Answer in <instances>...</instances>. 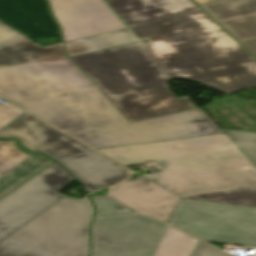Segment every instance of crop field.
Listing matches in <instances>:
<instances>
[{
	"instance_id": "1",
	"label": "crop field",
	"mask_w": 256,
	"mask_h": 256,
	"mask_svg": "<svg viewBox=\"0 0 256 256\" xmlns=\"http://www.w3.org/2000/svg\"><path fill=\"white\" fill-rule=\"evenodd\" d=\"M131 29L148 42L70 59L130 123L196 108L170 78L227 94L256 87V60L200 9Z\"/></svg>"
},
{
	"instance_id": "2",
	"label": "crop field",
	"mask_w": 256,
	"mask_h": 256,
	"mask_svg": "<svg viewBox=\"0 0 256 256\" xmlns=\"http://www.w3.org/2000/svg\"><path fill=\"white\" fill-rule=\"evenodd\" d=\"M0 95L64 131L129 123L68 58L0 68Z\"/></svg>"
},
{
	"instance_id": "3",
	"label": "crop field",
	"mask_w": 256,
	"mask_h": 256,
	"mask_svg": "<svg viewBox=\"0 0 256 256\" xmlns=\"http://www.w3.org/2000/svg\"><path fill=\"white\" fill-rule=\"evenodd\" d=\"M99 151L126 167L158 161L159 173L143 175L149 180L253 165L225 134Z\"/></svg>"
},
{
	"instance_id": "4",
	"label": "crop field",
	"mask_w": 256,
	"mask_h": 256,
	"mask_svg": "<svg viewBox=\"0 0 256 256\" xmlns=\"http://www.w3.org/2000/svg\"><path fill=\"white\" fill-rule=\"evenodd\" d=\"M90 199L64 196L0 243V256H88Z\"/></svg>"
},
{
	"instance_id": "5",
	"label": "crop field",
	"mask_w": 256,
	"mask_h": 256,
	"mask_svg": "<svg viewBox=\"0 0 256 256\" xmlns=\"http://www.w3.org/2000/svg\"><path fill=\"white\" fill-rule=\"evenodd\" d=\"M65 135L28 113L0 132V138H16L27 149L57 160L87 192L127 178L124 167Z\"/></svg>"
},
{
	"instance_id": "6",
	"label": "crop field",
	"mask_w": 256,
	"mask_h": 256,
	"mask_svg": "<svg viewBox=\"0 0 256 256\" xmlns=\"http://www.w3.org/2000/svg\"><path fill=\"white\" fill-rule=\"evenodd\" d=\"M199 240L142 215L95 219L91 256H191Z\"/></svg>"
},
{
	"instance_id": "7",
	"label": "crop field",
	"mask_w": 256,
	"mask_h": 256,
	"mask_svg": "<svg viewBox=\"0 0 256 256\" xmlns=\"http://www.w3.org/2000/svg\"><path fill=\"white\" fill-rule=\"evenodd\" d=\"M67 133L99 149L221 134L224 132L198 108L133 124L78 130Z\"/></svg>"
},
{
	"instance_id": "8",
	"label": "crop field",
	"mask_w": 256,
	"mask_h": 256,
	"mask_svg": "<svg viewBox=\"0 0 256 256\" xmlns=\"http://www.w3.org/2000/svg\"><path fill=\"white\" fill-rule=\"evenodd\" d=\"M169 223L205 241L256 247V208L182 198Z\"/></svg>"
},
{
	"instance_id": "9",
	"label": "crop field",
	"mask_w": 256,
	"mask_h": 256,
	"mask_svg": "<svg viewBox=\"0 0 256 256\" xmlns=\"http://www.w3.org/2000/svg\"><path fill=\"white\" fill-rule=\"evenodd\" d=\"M73 180L54 163L0 200V242L64 196L56 192Z\"/></svg>"
},
{
	"instance_id": "10",
	"label": "crop field",
	"mask_w": 256,
	"mask_h": 256,
	"mask_svg": "<svg viewBox=\"0 0 256 256\" xmlns=\"http://www.w3.org/2000/svg\"><path fill=\"white\" fill-rule=\"evenodd\" d=\"M49 3L65 42L125 27L103 0H49Z\"/></svg>"
},
{
	"instance_id": "11",
	"label": "crop field",
	"mask_w": 256,
	"mask_h": 256,
	"mask_svg": "<svg viewBox=\"0 0 256 256\" xmlns=\"http://www.w3.org/2000/svg\"><path fill=\"white\" fill-rule=\"evenodd\" d=\"M0 22L42 46L62 42L46 0H0Z\"/></svg>"
},
{
	"instance_id": "12",
	"label": "crop field",
	"mask_w": 256,
	"mask_h": 256,
	"mask_svg": "<svg viewBox=\"0 0 256 256\" xmlns=\"http://www.w3.org/2000/svg\"><path fill=\"white\" fill-rule=\"evenodd\" d=\"M155 184L180 197L185 195L256 187V167H244L160 180Z\"/></svg>"
},
{
	"instance_id": "13",
	"label": "crop field",
	"mask_w": 256,
	"mask_h": 256,
	"mask_svg": "<svg viewBox=\"0 0 256 256\" xmlns=\"http://www.w3.org/2000/svg\"><path fill=\"white\" fill-rule=\"evenodd\" d=\"M153 183L141 176L112 188L111 194L145 215L170 221L181 198Z\"/></svg>"
},
{
	"instance_id": "14",
	"label": "crop field",
	"mask_w": 256,
	"mask_h": 256,
	"mask_svg": "<svg viewBox=\"0 0 256 256\" xmlns=\"http://www.w3.org/2000/svg\"><path fill=\"white\" fill-rule=\"evenodd\" d=\"M200 7L256 57V0H219Z\"/></svg>"
},
{
	"instance_id": "15",
	"label": "crop field",
	"mask_w": 256,
	"mask_h": 256,
	"mask_svg": "<svg viewBox=\"0 0 256 256\" xmlns=\"http://www.w3.org/2000/svg\"><path fill=\"white\" fill-rule=\"evenodd\" d=\"M52 163L24 150L15 140H0V199Z\"/></svg>"
},
{
	"instance_id": "16",
	"label": "crop field",
	"mask_w": 256,
	"mask_h": 256,
	"mask_svg": "<svg viewBox=\"0 0 256 256\" xmlns=\"http://www.w3.org/2000/svg\"><path fill=\"white\" fill-rule=\"evenodd\" d=\"M63 57H67L63 43L42 47L0 24V67Z\"/></svg>"
},
{
	"instance_id": "17",
	"label": "crop field",
	"mask_w": 256,
	"mask_h": 256,
	"mask_svg": "<svg viewBox=\"0 0 256 256\" xmlns=\"http://www.w3.org/2000/svg\"><path fill=\"white\" fill-rule=\"evenodd\" d=\"M129 27L197 9L189 0H106Z\"/></svg>"
},
{
	"instance_id": "18",
	"label": "crop field",
	"mask_w": 256,
	"mask_h": 256,
	"mask_svg": "<svg viewBox=\"0 0 256 256\" xmlns=\"http://www.w3.org/2000/svg\"><path fill=\"white\" fill-rule=\"evenodd\" d=\"M139 41L128 29H120L96 36H91L71 42H67L68 56L85 54L113 46Z\"/></svg>"
},
{
	"instance_id": "19",
	"label": "crop field",
	"mask_w": 256,
	"mask_h": 256,
	"mask_svg": "<svg viewBox=\"0 0 256 256\" xmlns=\"http://www.w3.org/2000/svg\"><path fill=\"white\" fill-rule=\"evenodd\" d=\"M201 197H205L202 199ZM184 198L199 199L227 204L256 207V188L239 189L227 192L185 196Z\"/></svg>"
},
{
	"instance_id": "20",
	"label": "crop field",
	"mask_w": 256,
	"mask_h": 256,
	"mask_svg": "<svg viewBox=\"0 0 256 256\" xmlns=\"http://www.w3.org/2000/svg\"><path fill=\"white\" fill-rule=\"evenodd\" d=\"M231 141L256 166V133L222 130Z\"/></svg>"
},
{
	"instance_id": "21",
	"label": "crop field",
	"mask_w": 256,
	"mask_h": 256,
	"mask_svg": "<svg viewBox=\"0 0 256 256\" xmlns=\"http://www.w3.org/2000/svg\"><path fill=\"white\" fill-rule=\"evenodd\" d=\"M23 113L24 111L20 110L19 108L15 107L10 103L0 107V128H2L4 125H6Z\"/></svg>"
},
{
	"instance_id": "22",
	"label": "crop field",
	"mask_w": 256,
	"mask_h": 256,
	"mask_svg": "<svg viewBox=\"0 0 256 256\" xmlns=\"http://www.w3.org/2000/svg\"><path fill=\"white\" fill-rule=\"evenodd\" d=\"M96 210L97 213L95 218L136 215L135 213L129 211V208L125 206L103 207L96 208Z\"/></svg>"
},
{
	"instance_id": "23",
	"label": "crop field",
	"mask_w": 256,
	"mask_h": 256,
	"mask_svg": "<svg viewBox=\"0 0 256 256\" xmlns=\"http://www.w3.org/2000/svg\"><path fill=\"white\" fill-rule=\"evenodd\" d=\"M192 256H230L199 241Z\"/></svg>"
},
{
	"instance_id": "24",
	"label": "crop field",
	"mask_w": 256,
	"mask_h": 256,
	"mask_svg": "<svg viewBox=\"0 0 256 256\" xmlns=\"http://www.w3.org/2000/svg\"><path fill=\"white\" fill-rule=\"evenodd\" d=\"M91 198L93 199L96 207L122 205L107 195L95 196V197H91Z\"/></svg>"
},
{
	"instance_id": "25",
	"label": "crop field",
	"mask_w": 256,
	"mask_h": 256,
	"mask_svg": "<svg viewBox=\"0 0 256 256\" xmlns=\"http://www.w3.org/2000/svg\"><path fill=\"white\" fill-rule=\"evenodd\" d=\"M197 5L200 4H204V3H208V2H212V1H216V0H193Z\"/></svg>"
},
{
	"instance_id": "26",
	"label": "crop field",
	"mask_w": 256,
	"mask_h": 256,
	"mask_svg": "<svg viewBox=\"0 0 256 256\" xmlns=\"http://www.w3.org/2000/svg\"><path fill=\"white\" fill-rule=\"evenodd\" d=\"M136 176H137V175H135V174H132V176H131L130 178H134V177H136ZM130 178H129V179H130Z\"/></svg>"
}]
</instances>
